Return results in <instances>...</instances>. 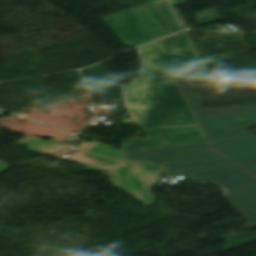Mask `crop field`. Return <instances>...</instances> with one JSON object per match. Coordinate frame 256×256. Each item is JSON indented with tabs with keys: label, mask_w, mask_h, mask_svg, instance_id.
<instances>
[{
	"label": "crop field",
	"mask_w": 256,
	"mask_h": 256,
	"mask_svg": "<svg viewBox=\"0 0 256 256\" xmlns=\"http://www.w3.org/2000/svg\"><path fill=\"white\" fill-rule=\"evenodd\" d=\"M138 49L140 77L121 84L131 115L122 121L142 126L146 138H130L121 150L131 153L206 141L175 83L157 85L210 77L186 32Z\"/></svg>",
	"instance_id": "crop-field-1"
},
{
	"label": "crop field",
	"mask_w": 256,
	"mask_h": 256,
	"mask_svg": "<svg viewBox=\"0 0 256 256\" xmlns=\"http://www.w3.org/2000/svg\"><path fill=\"white\" fill-rule=\"evenodd\" d=\"M75 149L118 159L154 162L166 171L188 173L232 166L186 177L192 181L208 178L224 188L229 203L246 218V230L256 227V177L211 149L207 142L131 154L96 142H83Z\"/></svg>",
	"instance_id": "crop-field-2"
},
{
	"label": "crop field",
	"mask_w": 256,
	"mask_h": 256,
	"mask_svg": "<svg viewBox=\"0 0 256 256\" xmlns=\"http://www.w3.org/2000/svg\"><path fill=\"white\" fill-rule=\"evenodd\" d=\"M194 81L179 82L177 84L212 148L256 175V162L241 165L256 159V137L246 130L256 124V110L201 117L183 85V83Z\"/></svg>",
	"instance_id": "crop-field-3"
},
{
	"label": "crop field",
	"mask_w": 256,
	"mask_h": 256,
	"mask_svg": "<svg viewBox=\"0 0 256 256\" xmlns=\"http://www.w3.org/2000/svg\"><path fill=\"white\" fill-rule=\"evenodd\" d=\"M56 157L77 162L87 170H106L104 174L111 178L114 186L124 188L126 192L132 193L136 199L146 205L153 204L154 197L148 191V187L158 182L162 170L159 166L141 162L108 160L81 152L65 158L59 155Z\"/></svg>",
	"instance_id": "crop-field-4"
},
{
	"label": "crop field",
	"mask_w": 256,
	"mask_h": 256,
	"mask_svg": "<svg viewBox=\"0 0 256 256\" xmlns=\"http://www.w3.org/2000/svg\"><path fill=\"white\" fill-rule=\"evenodd\" d=\"M102 20L128 45H142L171 34L157 6L136 12L133 8L114 13Z\"/></svg>",
	"instance_id": "crop-field-5"
},
{
	"label": "crop field",
	"mask_w": 256,
	"mask_h": 256,
	"mask_svg": "<svg viewBox=\"0 0 256 256\" xmlns=\"http://www.w3.org/2000/svg\"><path fill=\"white\" fill-rule=\"evenodd\" d=\"M15 143L27 144L29 150L48 154H55L61 151V149L68 150L72 145L70 143L39 139L34 136L23 137Z\"/></svg>",
	"instance_id": "crop-field-6"
},
{
	"label": "crop field",
	"mask_w": 256,
	"mask_h": 256,
	"mask_svg": "<svg viewBox=\"0 0 256 256\" xmlns=\"http://www.w3.org/2000/svg\"><path fill=\"white\" fill-rule=\"evenodd\" d=\"M151 5L158 4L162 13L164 14L167 22L169 23L172 31L177 32L183 30V27L176 20L173 11L169 4H167V8H163L160 4L163 0H148Z\"/></svg>",
	"instance_id": "crop-field-7"
},
{
	"label": "crop field",
	"mask_w": 256,
	"mask_h": 256,
	"mask_svg": "<svg viewBox=\"0 0 256 256\" xmlns=\"http://www.w3.org/2000/svg\"><path fill=\"white\" fill-rule=\"evenodd\" d=\"M9 166L5 165L3 162L0 161V174L7 170Z\"/></svg>",
	"instance_id": "crop-field-8"
},
{
	"label": "crop field",
	"mask_w": 256,
	"mask_h": 256,
	"mask_svg": "<svg viewBox=\"0 0 256 256\" xmlns=\"http://www.w3.org/2000/svg\"><path fill=\"white\" fill-rule=\"evenodd\" d=\"M171 1V3H172V5L174 6V5H177V4H179V3H182V0H170Z\"/></svg>",
	"instance_id": "crop-field-9"
}]
</instances>
